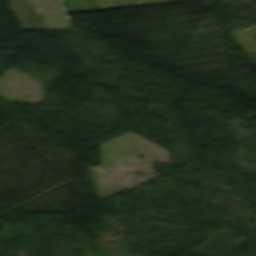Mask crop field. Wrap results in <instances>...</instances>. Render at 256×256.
I'll list each match as a JSON object with an SVG mask.
<instances>
[{
	"label": "crop field",
	"instance_id": "8a807250",
	"mask_svg": "<svg viewBox=\"0 0 256 256\" xmlns=\"http://www.w3.org/2000/svg\"><path fill=\"white\" fill-rule=\"evenodd\" d=\"M24 30H47L42 17L26 0H8Z\"/></svg>",
	"mask_w": 256,
	"mask_h": 256
},
{
	"label": "crop field",
	"instance_id": "ac0d7876",
	"mask_svg": "<svg viewBox=\"0 0 256 256\" xmlns=\"http://www.w3.org/2000/svg\"><path fill=\"white\" fill-rule=\"evenodd\" d=\"M43 16L65 14L60 0H28Z\"/></svg>",
	"mask_w": 256,
	"mask_h": 256
},
{
	"label": "crop field",
	"instance_id": "34b2d1b8",
	"mask_svg": "<svg viewBox=\"0 0 256 256\" xmlns=\"http://www.w3.org/2000/svg\"><path fill=\"white\" fill-rule=\"evenodd\" d=\"M44 18L49 30H64V25H70L66 14Z\"/></svg>",
	"mask_w": 256,
	"mask_h": 256
}]
</instances>
